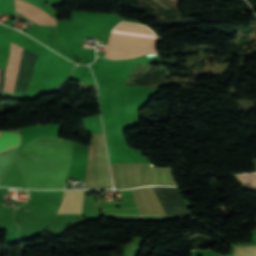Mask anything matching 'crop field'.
<instances>
[{
    "mask_svg": "<svg viewBox=\"0 0 256 256\" xmlns=\"http://www.w3.org/2000/svg\"><path fill=\"white\" fill-rule=\"evenodd\" d=\"M39 56L23 49L19 72L13 93L25 94L32 79V68ZM4 72H0V94L2 90Z\"/></svg>",
    "mask_w": 256,
    "mask_h": 256,
    "instance_id": "crop-field-2",
    "label": "crop field"
},
{
    "mask_svg": "<svg viewBox=\"0 0 256 256\" xmlns=\"http://www.w3.org/2000/svg\"><path fill=\"white\" fill-rule=\"evenodd\" d=\"M84 191H64L58 213H81Z\"/></svg>",
    "mask_w": 256,
    "mask_h": 256,
    "instance_id": "crop-field-4",
    "label": "crop field"
},
{
    "mask_svg": "<svg viewBox=\"0 0 256 256\" xmlns=\"http://www.w3.org/2000/svg\"><path fill=\"white\" fill-rule=\"evenodd\" d=\"M238 176L246 186L256 188V174H244Z\"/></svg>",
    "mask_w": 256,
    "mask_h": 256,
    "instance_id": "crop-field-7",
    "label": "crop field"
},
{
    "mask_svg": "<svg viewBox=\"0 0 256 256\" xmlns=\"http://www.w3.org/2000/svg\"><path fill=\"white\" fill-rule=\"evenodd\" d=\"M233 255L256 256V247H234Z\"/></svg>",
    "mask_w": 256,
    "mask_h": 256,
    "instance_id": "crop-field-6",
    "label": "crop field"
},
{
    "mask_svg": "<svg viewBox=\"0 0 256 256\" xmlns=\"http://www.w3.org/2000/svg\"><path fill=\"white\" fill-rule=\"evenodd\" d=\"M112 33L156 38L155 33H153L147 26L124 21L117 24L112 30ZM113 35H111L108 43L110 45L154 51L155 41Z\"/></svg>",
    "mask_w": 256,
    "mask_h": 256,
    "instance_id": "crop-field-1",
    "label": "crop field"
},
{
    "mask_svg": "<svg viewBox=\"0 0 256 256\" xmlns=\"http://www.w3.org/2000/svg\"><path fill=\"white\" fill-rule=\"evenodd\" d=\"M2 132H0L1 136ZM19 144V135L17 133L3 132L0 138V151L9 149Z\"/></svg>",
    "mask_w": 256,
    "mask_h": 256,
    "instance_id": "crop-field-5",
    "label": "crop field"
},
{
    "mask_svg": "<svg viewBox=\"0 0 256 256\" xmlns=\"http://www.w3.org/2000/svg\"><path fill=\"white\" fill-rule=\"evenodd\" d=\"M15 12L22 15V17L35 22V24L55 26V18L46 14L42 10L27 4L21 0H15Z\"/></svg>",
    "mask_w": 256,
    "mask_h": 256,
    "instance_id": "crop-field-3",
    "label": "crop field"
}]
</instances>
